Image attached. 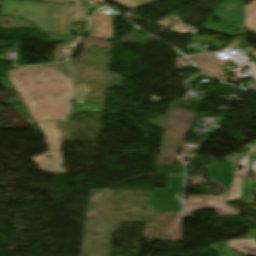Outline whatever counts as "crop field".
<instances>
[{"mask_svg":"<svg viewBox=\"0 0 256 256\" xmlns=\"http://www.w3.org/2000/svg\"><path fill=\"white\" fill-rule=\"evenodd\" d=\"M9 78L36 122L64 118L72 86L69 78L48 67L10 70Z\"/></svg>","mask_w":256,"mask_h":256,"instance_id":"crop-field-1","label":"crop field"},{"mask_svg":"<svg viewBox=\"0 0 256 256\" xmlns=\"http://www.w3.org/2000/svg\"><path fill=\"white\" fill-rule=\"evenodd\" d=\"M56 4H46L22 0H2L0 15H9L25 18L33 23L34 27L42 32H57Z\"/></svg>","mask_w":256,"mask_h":256,"instance_id":"crop-field-2","label":"crop field"},{"mask_svg":"<svg viewBox=\"0 0 256 256\" xmlns=\"http://www.w3.org/2000/svg\"><path fill=\"white\" fill-rule=\"evenodd\" d=\"M45 137L47 138L49 152L43 156L35 158L33 161L40 165L42 172L59 171L66 173L61 167L63 164L61 156V142L59 138L62 137L60 131L57 130L55 122L38 124ZM51 156V158H47Z\"/></svg>","mask_w":256,"mask_h":256,"instance_id":"crop-field-3","label":"crop field"},{"mask_svg":"<svg viewBox=\"0 0 256 256\" xmlns=\"http://www.w3.org/2000/svg\"><path fill=\"white\" fill-rule=\"evenodd\" d=\"M213 14L214 17H219L222 20V24L213 23V17H210L204 24V28L229 35V31L225 28V25L238 28L245 27L244 4L242 0H223ZM221 14H224L225 17L221 16Z\"/></svg>","mask_w":256,"mask_h":256,"instance_id":"crop-field-4","label":"crop field"},{"mask_svg":"<svg viewBox=\"0 0 256 256\" xmlns=\"http://www.w3.org/2000/svg\"><path fill=\"white\" fill-rule=\"evenodd\" d=\"M183 176H170L167 190H153L151 209L160 211H180L177 203V192L182 190Z\"/></svg>","mask_w":256,"mask_h":256,"instance_id":"crop-field-5","label":"crop field"},{"mask_svg":"<svg viewBox=\"0 0 256 256\" xmlns=\"http://www.w3.org/2000/svg\"><path fill=\"white\" fill-rule=\"evenodd\" d=\"M46 3L72 2L73 6H59V35H71V23L88 24L89 15L78 0H42ZM72 14V18L70 15Z\"/></svg>","mask_w":256,"mask_h":256,"instance_id":"crop-field-6","label":"crop field"},{"mask_svg":"<svg viewBox=\"0 0 256 256\" xmlns=\"http://www.w3.org/2000/svg\"><path fill=\"white\" fill-rule=\"evenodd\" d=\"M91 93L90 87L87 83H77L74 87L73 100L76 101L74 105L71 106L70 114H79L85 112H99V103H86L85 97Z\"/></svg>","mask_w":256,"mask_h":256,"instance_id":"crop-field-7","label":"crop field"},{"mask_svg":"<svg viewBox=\"0 0 256 256\" xmlns=\"http://www.w3.org/2000/svg\"><path fill=\"white\" fill-rule=\"evenodd\" d=\"M233 158H234V155H231L229 157H226V161L224 164L214 163L206 167L210 181L218 182V184L226 190L224 195H227L228 189L231 184V178H232L231 162Z\"/></svg>","mask_w":256,"mask_h":256,"instance_id":"crop-field-8","label":"crop field"},{"mask_svg":"<svg viewBox=\"0 0 256 256\" xmlns=\"http://www.w3.org/2000/svg\"><path fill=\"white\" fill-rule=\"evenodd\" d=\"M193 63L197 64L204 73L220 80L226 73L220 66L224 64L213 54L195 56L189 58Z\"/></svg>","mask_w":256,"mask_h":256,"instance_id":"crop-field-9","label":"crop field"},{"mask_svg":"<svg viewBox=\"0 0 256 256\" xmlns=\"http://www.w3.org/2000/svg\"><path fill=\"white\" fill-rule=\"evenodd\" d=\"M91 37L113 38L110 16L104 15L101 11L94 14L91 26Z\"/></svg>","mask_w":256,"mask_h":256,"instance_id":"crop-field-10","label":"crop field"},{"mask_svg":"<svg viewBox=\"0 0 256 256\" xmlns=\"http://www.w3.org/2000/svg\"><path fill=\"white\" fill-rule=\"evenodd\" d=\"M190 200L185 202L184 217H192V211L201 208H216L213 196H189Z\"/></svg>","mask_w":256,"mask_h":256,"instance_id":"crop-field-11","label":"crop field"},{"mask_svg":"<svg viewBox=\"0 0 256 256\" xmlns=\"http://www.w3.org/2000/svg\"><path fill=\"white\" fill-rule=\"evenodd\" d=\"M230 248L240 250L246 254L256 256V242L254 238L234 239L228 241ZM239 251V252H240Z\"/></svg>","mask_w":256,"mask_h":256,"instance_id":"crop-field-12","label":"crop field"},{"mask_svg":"<svg viewBox=\"0 0 256 256\" xmlns=\"http://www.w3.org/2000/svg\"><path fill=\"white\" fill-rule=\"evenodd\" d=\"M245 22L248 31H256V0L245 6Z\"/></svg>","mask_w":256,"mask_h":256,"instance_id":"crop-field-13","label":"crop field"},{"mask_svg":"<svg viewBox=\"0 0 256 256\" xmlns=\"http://www.w3.org/2000/svg\"><path fill=\"white\" fill-rule=\"evenodd\" d=\"M225 196H214L220 217L240 215L239 212L224 203Z\"/></svg>","mask_w":256,"mask_h":256,"instance_id":"crop-field-14","label":"crop field"},{"mask_svg":"<svg viewBox=\"0 0 256 256\" xmlns=\"http://www.w3.org/2000/svg\"><path fill=\"white\" fill-rule=\"evenodd\" d=\"M242 179L243 175L234 174V181L232 183L230 193L226 198L227 201L240 198Z\"/></svg>","mask_w":256,"mask_h":256,"instance_id":"crop-field-15","label":"crop field"},{"mask_svg":"<svg viewBox=\"0 0 256 256\" xmlns=\"http://www.w3.org/2000/svg\"><path fill=\"white\" fill-rule=\"evenodd\" d=\"M116 3H119L123 6H125L127 9L131 10L158 0H111Z\"/></svg>","mask_w":256,"mask_h":256,"instance_id":"crop-field-16","label":"crop field"},{"mask_svg":"<svg viewBox=\"0 0 256 256\" xmlns=\"http://www.w3.org/2000/svg\"><path fill=\"white\" fill-rule=\"evenodd\" d=\"M211 251L218 252L219 256H229L227 255L228 251H227L225 242L211 245ZM230 253H231V256H248L246 254H238L237 252H234L231 250H230Z\"/></svg>","mask_w":256,"mask_h":256,"instance_id":"crop-field-17","label":"crop field"},{"mask_svg":"<svg viewBox=\"0 0 256 256\" xmlns=\"http://www.w3.org/2000/svg\"><path fill=\"white\" fill-rule=\"evenodd\" d=\"M84 0H80V2L82 3V5L84 6V8L87 10V12L90 14V8L88 6H86L84 3H83Z\"/></svg>","mask_w":256,"mask_h":256,"instance_id":"crop-field-18","label":"crop field"},{"mask_svg":"<svg viewBox=\"0 0 256 256\" xmlns=\"http://www.w3.org/2000/svg\"><path fill=\"white\" fill-rule=\"evenodd\" d=\"M251 56L256 58V51Z\"/></svg>","mask_w":256,"mask_h":256,"instance_id":"crop-field-19","label":"crop field"},{"mask_svg":"<svg viewBox=\"0 0 256 256\" xmlns=\"http://www.w3.org/2000/svg\"><path fill=\"white\" fill-rule=\"evenodd\" d=\"M252 147L256 148V144H255V145H253Z\"/></svg>","mask_w":256,"mask_h":256,"instance_id":"crop-field-20","label":"crop field"}]
</instances>
